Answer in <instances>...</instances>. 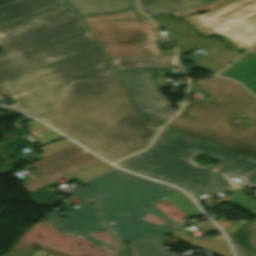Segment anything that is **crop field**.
I'll return each mask as SVG.
<instances>
[{
  "instance_id": "crop-field-28",
  "label": "crop field",
  "mask_w": 256,
  "mask_h": 256,
  "mask_svg": "<svg viewBox=\"0 0 256 256\" xmlns=\"http://www.w3.org/2000/svg\"><path fill=\"white\" fill-rule=\"evenodd\" d=\"M37 140L36 142L42 146V145H45L47 143H50V142H53V141H56V140H59L61 138H64L63 136H61L60 134L52 131V130H49L39 136H37Z\"/></svg>"
},
{
  "instance_id": "crop-field-24",
  "label": "crop field",
  "mask_w": 256,
  "mask_h": 256,
  "mask_svg": "<svg viewBox=\"0 0 256 256\" xmlns=\"http://www.w3.org/2000/svg\"><path fill=\"white\" fill-rule=\"evenodd\" d=\"M227 196L230 197L227 202L243 208L256 216V201L245 196L241 189Z\"/></svg>"
},
{
  "instance_id": "crop-field-36",
  "label": "crop field",
  "mask_w": 256,
  "mask_h": 256,
  "mask_svg": "<svg viewBox=\"0 0 256 256\" xmlns=\"http://www.w3.org/2000/svg\"><path fill=\"white\" fill-rule=\"evenodd\" d=\"M249 53L256 54V47H254L251 51H249Z\"/></svg>"
},
{
  "instance_id": "crop-field-22",
  "label": "crop field",
  "mask_w": 256,
  "mask_h": 256,
  "mask_svg": "<svg viewBox=\"0 0 256 256\" xmlns=\"http://www.w3.org/2000/svg\"><path fill=\"white\" fill-rule=\"evenodd\" d=\"M167 236L133 241L129 246L132 256H178L179 253L165 251L162 242Z\"/></svg>"
},
{
  "instance_id": "crop-field-34",
  "label": "crop field",
  "mask_w": 256,
  "mask_h": 256,
  "mask_svg": "<svg viewBox=\"0 0 256 256\" xmlns=\"http://www.w3.org/2000/svg\"><path fill=\"white\" fill-rule=\"evenodd\" d=\"M12 1H15V0H0V6H2L4 4H7V3H10Z\"/></svg>"
},
{
  "instance_id": "crop-field-2",
  "label": "crop field",
  "mask_w": 256,
  "mask_h": 256,
  "mask_svg": "<svg viewBox=\"0 0 256 256\" xmlns=\"http://www.w3.org/2000/svg\"><path fill=\"white\" fill-rule=\"evenodd\" d=\"M0 81L98 45L62 0H18L0 7Z\"/></svg>"
},
{
  "instance_id": "crop-field-11",
  "label": "crop field",
  "mask_w": 256,
  "mask_h": 256,
  "mask_svg": "<svg viewBox=\"0 0 256 256\" xmlns=\"http://www.w3.org/2000/svg\"><path fill=\"white\" fill-rule=\"evenodd\" d=\"M100 162H102L100 159L96 158L85 150L78 152L35 172L34 174L37 177L25 182V189L28 191V193H30L36 189ZM39 174H44V176L39 177Z\"/></svg>"
},
{
  "instance_id": "crop-field-21",
  "label": "crop field",
  "mask_w": 256,
  "mask_h": 256,
  "mask_svg": "<svg viewBox=\"0 0 256 256\" xmlns=\"http://www.w3.org/2000/svg\"><path fill=\"white\" fill-rule=\"evenodd\" d=\"M225 176L231 175L243 180L240 186L256 184V160L248 156L231 165L227 170L221 172Z\"/></svg>"
},
{
  "instance_id": "crop-field-13",
  "label": "crop field",
  "mask_w": 256,
  "mask_h": 256,
  "mask_svg": "<svg viewBox=\"0 0 256 256\" xmlns=\"http://www.w3.org/2000/svg\"><path fill=\"white\" fill-rule=\"evenodd\" d=\"M173 68L174 67L118 71L126 83L131 101L137 102L166 98L150 77L164 76L162 69Z\"/></svg>"
},
{
  "instance_id": "crop-field-5",
  "label": "crop field",
  "mask_w": 256,
  "mask_h": 256,
  "mask_svg": "<svg viewBox=\"0 0 256 256\" xmlns=\"http://www.w3.org/2000/svg\"><path fill=\"white\" fill-rule=\"evenodd\" d=\"M204 154L219 163L201 167L194 155ZM245 155H235L188 135L164 127L151 148L116 165L140 175L181 185L218 172Z\"/></svg>"
},
{
  "instance_id": "crop-field-23",
  "label": "crop field",
  "mask_w": 256,
  "mask_h": 256,
  "mask_svg": "<svg viewBox=\"0 0 256 256\" xmlns=\"http://www.w3.org/2000/svg\"><path fill=\"white\" fill-rule=\"evenodd\" d=\"M169 201L175 205L178 211L187 212L186 216L187 218L197 217V216H203L204 214L201 213L197 207L194 205V203L181 191L157 202H166Z\"/></svg>"
},
{
  "instance_id": "crop-field-30",
  "label": "crop field",
  "mask_w": 256,
  "mask_h": 256,
  "mask_svg": "<svg viewBox=\"0 0 256 256\" xmlns=\"http://www.w3.org/2000/svg\"><path fill=\"white\" fill-rule=\"evenodd\" d=\"M49 129L48 127L40 124V125H37V126H34V127H30V128H27L26 130L31 133L33 136L45 131Z\"/></svg>"
},
{
  "instance_id": "crop-field-12",
  "label": "crop field",
  "mask_w": 256,
  "mask_h": 256,
  "mask_svg": "<svg viewBox=\"0 0 256 256\" xmlns=\"http://www.w3.org/2000/svg\"><path fill=\"white\" fill-rule=\"evenodd\" d=\"M101 215V211L85 206L77 210L52 212L47 218L52 226L62 233L82 234L105 230L101 223ZM61 216L68 218L60 219Z\"/></svg>"
},
{
  "instance_id": "crop-field-3",
  "label": "crop field",
  "mask_w": 256,
  "mask_h": 256,
  "mask_svg": "<svg viewBox=\"0 0 256 256\" xmlns=\"http://www.w3.org/2000/svg\"><path fill=\"white\" fill-rule=\"evenodd\" d=\"M192 90H203L210 99L187 101L168 126L256 158V97L236 81L218 76L194 82ZM246 114L254 118L239 121Z\"/></svg>"
},
{
  "instance_id": "crop-field-35",
  "label": "crop field",
  "mask_w": 256,
  "mask_h": 256,
  "mask_svg": "<svg viewBox=\"0 0 256 256\" xmlns=\"http://www.w3.org/2000/svg\"><path fill=\"white\" fill-rule=\"evenodd\" d=\"M135 11L138 13L139 16L144 17V18H147L146 16H144L143 14H141L138 9H136Z\"/></svg>"
},
{
  "instance_id": "crop-field-4",
  "label": "crop field",
  "mask_w": 256,
  "mask_h": 256,
  "mask_svg": "<svg viewBox=\"0 0 256 256\" xmlns=\"http://www.w3.org/2000/svg\"><path fill=\"white\" fill-rule=\"evenodd\" d=\"M77 80H122L100 45L0 82L9 105L32 114L51 106Z\"/></svg>"
},
{
  "instance_id": "crop-field-10",
  "label": "crop field",
  "mask_w": 256,
  "mask_h": 256,
  "mask_svg": "<svg viewBox=\"0 0 256 256\" xmlns=\"http://www.w3.org/2000/svg\"><path fill=\"white\" fill-rule=\"evenodd\" d=\"M149 212L164 220L165 224L157 225L144 221L143 216ZM104 219L116 222L114 226L104 223L107 231L115 242L164 236L172 233L174 230L182 226L166 218L165 215L155 207V205L127 219L105 212Z\"/></svg>"
},
{
  "instance_id": "crop-field-32",
  "label": "crop field",
  "mask_w": 256,
  "mask_h": 256,
  "mask_svg": "<svg viewBox=\"0 0 256 256\" xmlns=\"http://www.w3.org/2000/svg\"><path fill=\"white\" fill-rule=\"evenodd\" d=\"M48 251L37 249L32 256H45Z\"/></svg>"
},
{
  "instance_id": "crop-field-29",
  "label": "crop field",
  "mask_w": 256,
  "mask_h": 256,
  "mask_svg": "<svg viewBox=\"0 0 256 256\" xmlns=\"http://www.w3.org/2000/svg\"><path fill=\"white\" fill-rule=\"evenodd\" d=\"M228 1H230V0H219V1L215 2L212 5H208V6H204V7H200V8H196V9H192V10H188V11H184V12L172 13V15L182 18V17H184V16H186V15H188L190 13H193V12L211 10V9H213V8L219 6V5H222V4H224V3L228 2Z\"/></svg>"
},
{
  "instance_id": "crop-field-15",
  "label": "crop field",
  "mask_w": 256,
  "mask_h": 256,
  "mask_svg": "<svg viewBox=\"0 0 256 256\" xmlns=\"http://www.w3.org/2000/svg\"><path fill=\"white\" fill-rule=\"evenodd\" d=\"M219 75L241 82L256 94V56L246 54Z\"/></svg>"
},
{
  "instance_id": "crop-field-26",
  "label": "crop field",
  "mask_w": 256,
  "mask_h": 256,
  "mask_svg": "<svg viewBox=\"0 0 256 256\" xmlns=\"http://www.w3.org/2000/svg\"><path fill=\"white\" fill-rule=\"evenodd\" d=\"M113 168H114V167L108 165L107 163L102 162V163H100V164H97V165H95V166H93V167H90V168H88V169H85V170H83V171H80V172H78V173H76V174H73V175H71V176L74 177V178H76V179L79 180V181H85V180H87V179H89V178H92V177H94V176H97V175H99V174H101V173H104V172H106V171H109V170H111V169H113ZM76 179H75V180H76Z\"/></svg>"
},
{
  "instance_id": "crop-field-6",
  "label": "crop field",
  "mask_w": 256,
  "mask_h": 256,
  "mask_svg": "<svg viewBox=\"0 0 256 256\" xmlns=\"http://www.w3.org/2000/svg\"><path fill=\"white\" fill-rule=\"evenodd\" d=\"M84 184L88 186L76 189L72 198L124 218L178 191L120 170Z\"/></svg>"
},
{
  "instance_id": "crop-field-20",
  "label": "crop field",
  "mask_w": 256,
  "mask_h": 256,
  "mask_svg": "<svg viewBox=\"0 0 256 256\" xmlns=\"http://www.w3.org/2000/svg\"><path fill=\"white\" fill-rule=\"evenodd\" d=\"M139 116L154 121L167 122L174 113H171V105L167 99L133 103Z\"/></svg>"
},
{
  "instance_id": "crop-field-1",
  "label": "crop field",
  "mask_w": 256,
  "mask_h": 256,
  "mask_svg": "<svg viewBox=\"0 0 256 256\" xmlns=\"http://www.w3.org/2000/svg\"><path fill=\"white\" fill-rule=\"evenodd\" d=\"M32 115L111 163L146 149L163 126L135 116L122 81H77Z\"/></svg>"
},
{
  "instance_id": "crop-field-9",
  "label": "crop field",
  "mask_w": 256,
  "mask_h": 256,
  "mask_svg": "<svg viewBox=\"0 0 256 256\" xmlns=\"http://www.w3.org/2000/svg\"><path fill=\"white\" fill-rule=\"evenodd\" d=\"M154 21L168 32L180 54L189 52L193 44L197 43L211 48L207 52L208 57L198 61L196 64L198 67L217 73L240 56L222 48L216 41L195 36L190 28L180 21L169 19L166 16L154 19Z\"/></svg>"
},
{
  "instance_id": "crop-field-19",
  "label": "crop field",
  "mask_w": 256,
  "mask_h": 256,
  "mask_svg": "<svg viewBox=\"0 0 256 256\" xmlns=\"http://www.w3.org/2000/svg\"><path fill=\"white\" fill-rule=\"evenodd\" d=\"M117 69L178 66L177 55L111 59Z\"/></svg>"
},
{
  "instance_id": "crop-field-14",
  "label": "crop field",
  "mask_w": 256,
  "mask_h": 256,
  "mask_svg": "<svg viewBox=\"0 0 256 256\" xmlns=\"http://www.w3.org/2000/svg\"><path fill=\"white\" fill-rule=\"evenodd\" d=\"M217 0H140L141 10L150 17L167 13L183 11L207 4Z\"/></svg>"
},
{
  "instance_id": "crop-field-7",
  "label": "crop field",
  "mask_w": 256,
  "mask_h": 256,
  "mask_svg": "<svg viewBox=\"0 0 256 256\" xmlns=\"http://www.w3.org/2000/svg\"><path fill=\"white\" fill-rule=\"evenodd\" d=\"M109 58L161 55L153 22L132 11L83 17Z\"/></svg>"
},
{
  "instance_id": "crop-field-18",
  "label": "crop field",
  "mask_w": 256,
  "mask_h": 256,
  "mask_svg": "<svg viewBox=\"0 0 256 256\" xmlns=\"http://www.w3.org/2000/svg\"><path fill=\"white\" fill-rule=\"evenodd\" d=\"M229 238L238 256H256V222L246 223Z\"/></svg>"
},
{
  "instance_id": "crop-field-31",
  "label": "crop field",
  "mask_w": 256,
  "mask_h": 256,
  "mask_svg": "<svg viewBox=\"0 0 256 256\" xmlns=\"http://www.w3.org/2000/svg\"><path fill=\"white\" fill-rule=\"evenodd\" d=\"M80 236H82V237L88 239L89 241H91L92 243H94V244L97 245V246L108 245L107 243H104V242H102V241L96 240V239L92 238L91 236H89V235H87V234H82V235H80Z\"/></svg>"
},
{
  "instance_id": "crop-field-33",
  "label": "crop field",
  "mask_w": 256,
  "mask_h": 256,
  "mask_svg": "<svg viewBox=\"0 0 256 256\" xmlns=\"http://www.w3.org/2000/svg\"><path fill=\"white\" fill-rule=\"evenodd\" d=\"M163 55L175 54L174 50H161Z\"/></svg>"
},
{
  "instance_id": "crop-field-17",
  "label": "crop field",
  "mask_w": 256,
  "mask_h": 256,
  "mask_svg": "<svg viewBox=\"0 0 256 256\" xmlns=\"http://www.w3.org/2000/svg\"><path fill=\"white\" fill-rule=\"evenodd\" d=\"M226 178L227 177H225L223 174L220 173V174L181 186L180 188H183L184 190H186L191 196L198 197V196L207 194L209 192L215 194L218 192L228 190L230 188L238 187Z\"/></svg>"
},
{
  "instance_id": "crop-field-16",
  "label": "crop field",
  "mask_w": 256,
  "mask_h": 256,
  "mask_svg": "<svg viewBox=\"0 0 256 256\" xmlns=\"http://www.w3.org/2000/svg\"><path fill=\"white\" fill-rule=\"evenodd\" d=\"M81 15L137 8L136 0H67Z\"/></svg>"
},
{
  "instance_id": "crop-field-8",
  "label": "crop field",
  "mask_w": 256,
  "mask_h": 256,
  "mask_svg": "<svg viewBox=\"0 0 256 256\" xmlns=\"http://www.w3.org/2000/svg\"><path fill=\"white\" fill-rule=\"evenodd\" d=\"M184 20L201 35L222 34L242 49L256 43V0H234L212 12Z\"/></svg>"
},
{
  "instance_id": "crop-field-27",
  "label": "crop field",
  "mask_w": 256,
  "mask_h": 256,
  "mask_svg": "<svg viewBox=\"0 0 256 256\" xmlns=\"http://www.w3.org/2000/svg\"><path fill=\"white\" fill-rule=\"evenodd\" d=\"M72 144H74V143L71 142L70 140L66 139V140L57 142L55 144L43 147V148H41V150H43L45 153L41 154L40 156L45 158V157H47L51 154H54V153L66 148V147H68Z\"/></svg>"
},
{
  "instance_id": "crop-field-25",
  "label": "crop field",
  "mask_w": 256,
  "mask_h": 256,
  "mask_svg": "<svg viewBox=\"0 0 256 256\" xmlns=\"http://www.w3.org/2000/svg\"><path fill=\"white\" fill-rule=\"evenodd\" d=\"M80 149H82V148L75 144V145H73V146H71V147H69V148H67V149H65L63 151H60V152H58V153H56L54 155H51V156H49V157H47L45 159H42V160H40L38 162L30 164V165H28V166H26V167H24L22 169L33 171V170H35V169H37L39 167H42V166H44L46 164H49V163H51V162H53L55 160H58V159H60L62 157H65V156H67V155H69V154H71L73 152H76V151H78Z\"/></svg>"
}]
</instances>
